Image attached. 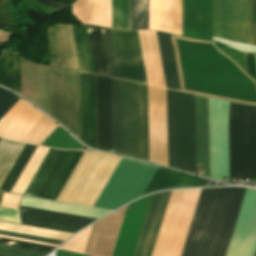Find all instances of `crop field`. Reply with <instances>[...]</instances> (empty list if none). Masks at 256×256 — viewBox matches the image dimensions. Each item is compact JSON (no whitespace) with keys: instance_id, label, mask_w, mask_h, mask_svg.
Listing matches in <instances>:
<instances>
[{"instance_id":"dd49c442","label":"crop field","mask_w":256,"mask_h":256,"mask_svg":"<svg viewBox=\"0 0 256 256\" xmlns=\"http://www.w3.org/2000/svg\"><path fill=\"white\" fill-rule=\"evenodd\" d=\"M51 116L80 139L78 72L49 66Z\"/></svg>"},{"instance_id":"028f5c9d","label":"crop field","mask_w":256,"mask_h":256,"mask_svg":"<svg viewBox=\"0 0 256 256\" xmlns=\"http://www.w3.org/2000/svg\"><path fill=\"white\" fill-rule=\"evenodd\" d=\"M249 44L256 46V0H248Z\"/></svg>"},{"instance_id":"425ffa30","label":"crop field","mask_w":256,"mask_h":256,"mask_svg":"<svg viewBox=\"0 0 256 256\" xmlns=\"http://www.w3.org/2000/svg\"><path fill=\"white\" fill-rule=\"evenodd\" d=\"M0 237L10 238V239H15V240H21V241H26V242H32V243H37V244H43V245H48V246H54V247H57V245H51V244H45V243H39V242L28 241V240H22V239L11 238V237H5V236H0Z\"/></svg>"},{"instance_id":"cbeb9de0","label":"crop field","mask_w":256,"mask_h":256,"mask_svg":"<svg viewBox=\"0 0 256 256\" xmlns=\"http://www.w3.org/2000/svg\"><path fill=\"white\" fill-rule=\"evenodd\" d=\"M48 50L50 65L78 70L70 25L49 27Z\"/></svg>"},{"instance_id":"28ad6ade","label":"crop field","mask_w":256,"mask_h":256,"mask_svg":"<svg viewBox=\"0 0 256 256\" xmlns=\"http://www.w3.org/2000/svg\"><path fill=\"white\" fill-rule=\"evenodd\" d=\"M81 141L96 148L95 75L79 72Z\"/></svg>"},{"instance_id":"d1516ede","label":"crop field","mask_w":256,"mask_h":256,"mask_svg":"<svg viewBox=\"0 0 256 256\" xmlns=\"http://www.w3.org/2000/svg\"><path fill=\"white\" fill-rule=\"evenodd\" d=\"M43 115L20 99L0 120V136L20 141Z\"/></svg>"},{"instance_id":"8a807250","label":"crop field","mask_w":256,"mask_h":256,"mask_svg":"<svg viewBox=\"0 0 256 256\" xmlns=\"http://www.w3.org/2000/svg\"><path fill=\"white\" fill-rule=\"evenodd\" d=\"M246 189H202L182 256H225Z\"/></svg>"},{"instance_id":"c21b1889","label":"crop field","mask_w":256,"mask_h":256,"mask_svg":"<svg viewBox=\"0 0 256 256\" xmlns=\"http://www.w3.org/2000/svg\"><path fill=\"white\" fill-rule=\"evenodd\" d=\"M0 220L21 224L19 212L14 209L0 207Z\"/></svg>"},{"instance_id":"89e229c0","label":"crop field","mask_w":256,"mask_h":256,"mask_svg":"<svg viewBox=\"0 0 256 256\" xmlns=\"http://www.w3.org/2000/svg\"><path fill=\"white\" fill-rule=\"evenodd\" d=\"M3 43H0V45H2Z\"/></svg>"},{"instance_id":"1f2cbd36","label":"crop field","mask_w":256,"mask_h":256,"mask_svg":"<svg viewBox=\"0 0 256 256\" xmlns=\"http://www.w3.org/2000/svg\"><path fill=\"white\" fill-rule=\"evenodd\" d=\"M0 256H4V255H0Z\"/></svg>"},{"instance_id":"5866460e","label":"crop field","mask_w":256,"mask_h":256,"mask_svg":"<svg viewBox=\"0 0 256 256\" xmlns=\"http://www.w3.org/2000/svg\"><path fill=\"white\" fill-rule=\"evenodd\" d=\"M90 229H91V226L89 228L81 231L76 236H74L72 239H70L66 244H64L61 248L65 249V250L83 253L89 233H90Z\"/></svg>"},{"instance_id":"92a150f3","label":"crop field","mask_w":256,"mask_h":256,"mask_svg":"<svg viewBox=\"0 0 256 256\" xmlns=\"http://www.w3.org/2000/svg\"><path fill=\"white\" fill-rule=\"evenodd\" d=\"M206 179L158 167L145 193L175 187L204 186Z\"/></svg>"},{"instance_id":"d3111659","label":"crop field","mask_w":256,"mask_h":256,"mask_svg":"<svg viewBox=\"0 0 256 256\" xmlns=\"http://www.w3.org/2000/svg\"><path fill=\"white\" fill-rule=\"evenodd\" d=\"M47 151V148L37 146L36 150L34 151L27 165L25 166L23 172L21 173L11 192L23 194L24 190L26 189L28 183L33 177L35 171L37 170Z\"/></svg>"},{"instance_id":"34b2d1b8","label":"crop field","mask_w":256,"mask_h":256,"mask_svg":"<svg viewBox=\"0 0 256 256\" xmlns=\"http://www.w3.org/2000/svg\"><path fill=\"white\" fill-rule=\"evenodd\" d=\"M122 154L148 160L147 86L120 80Z\"/></svg>"},{"instance_id":"bc2a9ffb","label":"crop field","mask_w":256,"mask_h":256,"mask_svg":"<svg viewBox=\"0 0 256 256\" xmlns=\"http://www.w3.org/2000/svg\"><path fill=\"white\" fill-rule=\"evenodd\" d=\"M147 76L150 85L163 87L164 80L155 31L138 30Z\"/></svg>"},{"instance_id":"ae1a2a85","label":"crop field","mask_w":256,"mask_h":256,"mask_svg":"<svg viewBox=\"0 0 256 256\" xmlns=\"http://www.w3.org/2000/svg\"><path fill=\"white\" fill-rule=\"evenodd\" d=\"M112 152L121 154L119 80L111 78Z\"/></svg>"},{"instance_id":"b54c1fbb","label":"crop field","mask_w":256,"mask_h":256,"mask_svg":"<svg viewBox=\"0 0 256 256\" xmlns=\"http://www.w3.org/2000/svg\"><path fill=\"white\" fill-rule=\"evenodd\" d=\"M20 197L18 195L3 193L0 206L18 209Z\"/></svg>"},{"instance_id":"bd1437ed","label":"crop field","mask_w":256,"mask_h":256,"mask_svg":"<svg viewBox=\"0 0 256 256\" xmlns=\"http://www.w3.org/2000/svg\"><path fill=\"white\" fill-rule=\"evenodd\" d=\"M130 29H148V0H129Z\"/></svg>"},{"instance_id":"730fd06b","label":"crop field","mask_w":256,"mask_h":256,"mask_svg":"<svg viewBox=\"0 0 256 256\" xmlns=\"http://www.w3.org/2000/svg\"><path fill=\"white\" fill-rule=\"evenodd\" d=\"M0 84L20 94L19 54L3 51L0 55Z\"/></svg>"},{"instance_id":"dafd665d","label":"crop field","mask_w":256,"mask_h":256,"mask_svg":"<svg viewBox=\"0 0 256 256\" xmlns=\"http://www.w3.org/2000/svg\"><path fill=\"white\" fill-rule=\"evenodd\" d=\"M20 215L23 219H29L78 229H81L84 226L95 221V219L72 216L22 206H20Z\"/></svg>"},{"instance_id":"4a817a6b","label":"crop field","mask_w":256,"mask_h":256,"mask_svg":"<svg viewBox=\"0 0 256 256\" xmlns=\"http://www.w3.org/2000/svg\"><path fill=\"white\" fill-rule=\"evenodd\" d=\"M196 166L209 178L208 98L195 95Z\"/></svg>"},{"instance_id":"d23c7cc5","label":"crop field","mask_w":256,"mask_h":256,"mask_svg":"<svg viewBox=\"0 0 256 256\" xmlns=\"http://www.w3.org/2000/svg\"><path fill=\"white\" fill-rule=\"evenodd\" d=\"M244 56H245L248 74L256 80V68H255L254 56L253 54H244Z\"/></svg>"},{"instance_id":"00972430","label":"crop field","mask_w":256,"mask_h":256,"mask_svg":"<svg viewBox=\"0 0 256 256\" xmlns=\"http://www.w3.org/2000/svg\"><path fill=\"white\" fill-rule=\"evenodd\" d=\"M201 189L189 190L168 256H181Z\"/></svg>"},{"instance_id":"ac0d7876","label":"crop field","mask_w":256,"mask_h":256,"mask_svg":"<svg viewBox=\"0 0 256 256\" xmlns=\"http://www.w3.org/2000/svg\"><path fill=\"white\" fill-rule=\"evenodd\" d=\"M168 166L195 174L194 95L166 89Z\"/></svg>"},{"instance_id":"0bd39190","label":"crop field","mask_w":256,"mask_h":256,"mask_svg":"<svg viewBox=\"0 0 256 256\" xmlns=\"http://www.w3.org/2000/svg\"><path fill=\"white\" fill-rule=\"evenodd\" d=\"M0 254L10 256H45L47 253L0 245Z\"/></svg>"},{"instance_id":"eef30255","label":"crop field","mask_w":256,"mask_h":256,"mask_svg":"<svg viewBox=\"0 0 256 256\" xmlns=\"http://www.w3.org/2000/svg\"><path fill=\"white\" fill-rule=\"evenodd\" d=\"M92 49L95 72L98 75L108 76L109 69L101 27L87 25Z\"/></svg>"},{"instance_id":"5142ce71","label":"crop field","mask_w":256,"mask_h":256,"mask_svg":"<svg viewBox=\"0 0 256 256\" xmlns=\"http://www.w3.org/2000/svg\"><path fill=\"white\" fill-rule=\"evenodd\" d=\"M97 149L111 152L110 78L96 75Z\"/></svg>"},{"instance_id":"412701ff","label":"crop field","mask_w":256,"mask_h":256,"mask_svg":"<svg viewBox=\"0 0 256 256\" xmlns=\"http://www.w3.org/2000/svg\"><path fill=\"white\" fill-rule=\"evenodd\" d=\"M230 178L256 179V107L228 102Z\"/></svg>"},{"instance_id":"733c2abd","label":"crop field","mask_w":256,"mask_h":256,"mask_svg":"<svg viewBox=\"0 0 256 256\" xmlns=\"http://www.w3.org/2000/svg\"><path fill=\"white\" fill-rule=\"evenodd\" d=\"M149 29L181 35V0H149Z\"/></svg>"},{"instance_id":"4177f3b9","label":"crop field","mask_w":256,"mask_h":256,"mask_svg":"<svg viewBox=\"0 0 256 256\" xmlns=\"http://www.w3.org/2000/svg\"><path fill=\"white\" fill-rule=\"evenodd\" d=\"M71 27L79 70L95 74L86 25Z\"/></svg>"},{"instance_id":"3316defc","label":"crop field","mask_w":256,"mask_h":256,"mask_svg":"<svg viewBox=\"0 0 256 256\" xmlns=\"http://www.w3.org/2000/svg\"><path fill=\"white\" fill-rule=\"evenodd\" d=\"M150 161L167 166L165 89L148 86Z\"/></svg>"},{"instance_id":"1d83c4d3","label":"crop field","mask_w":256,"mask_h":256,"mask_svg":"<svg viewBox=\"0 0 256 256\" xmlns=\"http://www.w3.org/2000/svg\"><path fill=\"white\" fill-rule=\"evenodd\" d=\"M35 148H36V146H34V145L25 144L20 155L18 156V158L15 161L14 165L12 166L10 172L8 173L7 177L5 178L3 184L1 185V187H0L1 191L10 192L11 188L13 187L17 178L19 177L20 173L22 172L24 166L26 165L27 161L29 160V158L32 155Z\"/></svg>"},{"instance_id":"e1f06a70","label":"crop field","mask_w":256,"mask_h":256,"mask_svg":"<svg viewBox=\"0 0 256 256\" xmlns=\"http://www.w3.org/2000/svg\"><path fill=\"white\" fill-rule=\"evenodd\" d=\"M19 99L16 95L0 88V119Z\"/></svg>"},{"instance_id":"03da06ac","label":"crop field","mask_w":256,"mask_h":256,"mask_svg":"<svg viewBox=\"0 0 256 256\" xmlns=\"http://www.w3.org/2000/svg\"><path fill=\"white\" fill-rule=\"evenodd\" d=\"M21 222H22V224H24V225H30V226L48 228V229L59 230V231H65V232H71V233H74V232L78 231V229H72V228L61 227V226H56V225H50V224H45V223H40V222H34V221H29V220H23V219H21Z\"/></svg>"},{"instance_id":"f4fd0767","label":"crop field","mask_w":256,"mask_h":256,"mask_svg":"<svg viewBox=\"0 0 256 256\" xmlns=\"http://www.w3.org/2000/svg\"><path fill=\"white\" fill-rule=\"evenodd\" d=\"M157 167L121 158L94 207L114 210L142 196Z\"/></svg>"},{"instance_id":"5d738f31","label":"crop field","mask_w":256,"mask_h":256,"mask_svg":"<svg viewBox=\"0 0 256 256\" xmlns=\"http://www.w3.org/2000/svg\"><path fill=\"white\" fill-rule=\"evenodd\" d=\"M0 24L11 25L7 0H0Z\"/></svg>"},{"instance_id":"25e5ab78","label":"crop field","mask_w":256,"mask_h":256,"mask_svg":"<svg viewBox=\"0 0 256 256\" xmlns=\"http://www.w3.org/2000/svg\"><path fill=\"white\" fill-rule=\"evenodd\" d=\"M254 256H256V249H255V253H254Z\"/></svg>"},{"instance_id":"c035e120","label":"crop field","mask_w":256,"mask_h":256,"mask_svg":"<svg viewBox=\"0 0 256 256\" xmlns=\"http://www.w3.org/2000/svg\"><path fill=\"white\" fill-rule=\"evenodd\" d=\"M0 235L57 244V245H60L63 242L61 240H55V239H49V238H43V237H37V236H31V235H25V234H19V233H13V232L1 231V230H0Z\"/></svg>"},{"instance_id":"5a996713","label":"crop field","mask_w":256,"mask_h":256,"mask_svg":"<svg viewBox=\"0 0 256 256\" xmlns=\"http://www.w3.org/2000/svg\"><path fill=\"white\" fill-rule=\"evenodd\" d=\"M111 31L120 78L147 84L137 30Z\"/></svg>"},{"instance_id":"e52e79f7","label":"crop field","mask_w":256,"mask_h":256,"mask_svg":"<svg viewBox=\"0 0 256 256\" xmlns=\"http://www.w3.org/2000/svg\"><path fill=\"white\" fill-rule=\"evenodd\" d=\"M82 153L49 149L24 194L56 200Z\"/></svg>"},{"instance_id":"214f88e0","label":"crop field","mask_w":256,"mask_h":256,"mask_svg":"<svg viewBox=\"0 0 256 256\" xmlns=\"http://www.w3.org/2000/svg\"><path fill=\"white\" fill-rule=\"evenodd\" d=\"M72 14L82 24L111 28V0H76Z\"/></svg>"},{"instance_id":"73cf0c24","label":"crop field","mask_w":256,"mask_h":256,"mask_svg":"<svg viewBox=\"0 0 256 256\" xmlns=\"http://www.w3.org/2000/svg\"><path fill=\"white\" fill-rule=\"evenodd\" d=\"M1 195H2V193H0V199H1Z\"/></svg>"},{"instance_id":"a9b5d70f","label":"crop field","mask_w":256,"mask_h":256,"mask_svg":"<svg viewBox=\"0 0 256 256\" xmlns=\"http://www.w3.org/2000/svg\"><path fill=\"white\" fill-rule=\"evenodd\" d=\"M156 33L162 62L165 86L169 89L180 90L170 36L169 34L158 31H156Z\"/></svg>"},{"instance_id":"22f410ed","label":"crop field","mask_w":256,"mask_h":256,"mask_svg":"<svg viewBox=\"0 0 256 256\" xmlns=\"http://www.w3.org/2000/svg\"><path fill=\"white\" fill-rule=\"evenodd\" d=\"M170 192L152 196L134 256H151Z\"/></svg>"},{"instance_id":"b80d0937","label":"crop field","mask_w":256,"mask_h":256,"mask_svg":"<svg viewBox=\"0 0 256 256\" xmlns=\"http://www.w3.org/2000/svg\"><path fill=\"white\" fill-rule=\"evenodd\" d=\"M0 244L23 247V248H28V249L40 250V251H46V252H49L54 249V247L42 246V245L8 240V239H3V238H0Z\"/></svg>"},{"instance_id":"750c4746","label":"crop field","mask_w":256,"mask_h":256,"mask_svg":"<svg viewBox=\"0 0 256 256\" xmlns=\"http://www.w3.org/2000/svg\"><path fill=\"white\" fill-rule=\"evenodd\" d=\"M23 143L0 141V185L23 148Z\"/></svg>"},{"instance_id":"d9b57169","label":"crop field","mask_w":256,"mask_h":256,"mask_svg":"<svg viewBox=\"0 0 256 256\" xmlns=\"http://www.w3.org/2000/svg\"><path fill=\"white\" fill-rule=\"evenodd\" d=\"M188 190L171 192L152 256H167Z\"/></svg>"},{"instance_id":"d8731c3e","label":"crop field","mask_w":256,"mask_h":256,"mask_svg":"<svg viewBox=\"0 0 256 256\" xmlns=\"http://www.w3.org/2000/svg\"><path fill=\"white\" fill-rule=\"evenodd\" d=\"M213 36L248 44L247 0H213Z\"/></svg>"},{"instance_id":"d32e631a","label":"crop field","mask_w":256,"mask_h":256,"mask_svg":"<svg viewBox=\"0 0 256 256\" xmlns=\"http://www.w3.org/2000/svg\"><path fill=\"white\" fill-rule=\"evenodd\" d=\"M102 29H103L104 41H105L107 58L109 63L110 75L111 77L119 78L115 54H114L113 42L111 37V31L110 29L104 28V27H102Z\"/></svg>"},{"instance_id":"120bbe31","label":"crop field","mask_w":256,"mask_h":256,"mask_svg":"<svg viewBox=\"0 0 256 256\" xmlns=\"http://www.w3.org/2000/svg\"><path fill=\"white\" fill-rule=\"evenodd\" d=\"M112 28L128 30V0H112Z\"/></svg>"}]
</instances>
